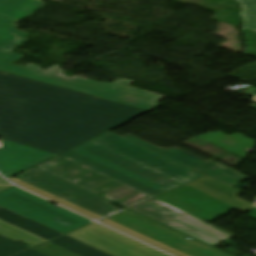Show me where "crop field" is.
Wrapping results in <instances>:
<instances>
[{
    "instance_id": "1",
    "label": "crop field",
    "mask_w": 256,
    "mask_h": 256,
    "mask_svg": "<svg viewBox=\"0 0 256 256\" xmlns=\"http://www.w3.org/2000/svg\"><path fill=\"white\" fill-rule=\"evenodd\" d=\"M149 111L0 72V133L53 154Z\"/></svg>"
},
{
    "instance_id": "22",
    "label": "crop field",
    "mask_w": 256,
    "mask_h": 256,
    "mask_svg": "<svg viewBox=\"0 0 256 256\" xmlns=\"http://www.w3.org/2000/svg\"><path fill=\"white\" fill-rule=\"evenodd\" d=\"M241 3L243 22L241 26L256 30V0H237Z\"/></svg>"
},
{
    "instance_id": "4",
    "label": "crop field",
    "mask_w": 256,
    "mask_h": 256,
    "mask_svg": "<svg viewBox=\"0 0 256 256\" xmlns=\"http://www.w3.org/2000/svg\"><path fill=\"white\" fill-rule=\"evenodd\" d=\"M35 167L95 194L104 193L110 196L114 201L125 203L128 208L151 198L141 192L60 156Z\"/></svg>"
},
{
    "instance_id": "11",
    "label": "crop field",
    "mask_w": 256,
    "mask_h": 256,
    "mask_svg": "<svg viewBox=\"0 0 256 256\" xmlns=\"http://www.w3.org/2000/svg\"><path fill=\"white\" fill-rule=\"evenodd\" d=\"M0 149V173L9 177L31 165H34L53 154L16 144L2 139Z\"/></svg>"
},
{
    "instance_id": "8",
    "label": "crop field",
    "mask_w": 256,
    "mask_h": 256,
    "mask_svg": "<svg viewBox=\"0 0 256 256\" xmlns=\"http://www.w3.org/2000/svg\"><path fill=\"white\" fill-rule=\"evenodd\" d=\"M16 177L28 184L48 191L59 197H61V195H70L71 198L69 199L64 197L61 198L80 205L104 217L119 211V209L110 205L109 201L35 167L16 175ZM29 178H31V180H29ZM36 182L39 183L37 184Z\"/></svg>"
},
{
    "instance_id": "7",
    "label": "crop field",
    "mask_w": 256,
    "mask_h": 256,
    "mask_svg": "<svg viewBox=\"0 0 256 256\" xmlns=\"http://www.w3.org/2000/svg\"><path fill=\"white\" fill-rule=\"evenodd\" d=\"M108 219L192 256H231L130 210Z\"/></svg>"
},
{
    "instance_id": "25",
    "label": "crop field",
    "mask_w": 256,
    "mask_h": 256,
    "mask_svg": "<svg viewBox=\"0 0 256 256\" xmlns=\"http://www.w3.org/2000/svg\"><path fill=\"white\" fill-rule=\"evenodd\" d=\"M15 256H46V255H44L42 253H39V252H37V251H35L33 249H30L28 251H25L23 253L15 255Z\"/></svg>"
},
{
    "instance_id": "21",
    "label": "crop field",
    "mask_w": 256,
    "mask_h": 256,
    "mask_svg": "<svg viewBox=\"0 0 256 256\" xmlns=\"http://www.w3.org/2000/svg\"><path fill=\"white\" fill-rule=\"evenodd\" d=\"M101 222L106 224V225H108V226H111V227H113V228H115V229H117V230H119L121 232H124V233H126L128 235H131L133 237H136V238H138V239H140V240H142L144 242H147V243H149V244H151V245H153V246H155L157 248H160V249L165 250V251H167L169 253H172L174 255H177V256H190V255H187V254H185L183 252H180V251H178L176 249H173V248H171L169 246H166V245L161 244V243H159L157 241H154V240H152V239H150L148 237H145L146 235L143 236V235H141V234H139L137 232H134V231H132V230H130L128 228H125V227H123V226H121V225H119L117 223H114V222L108 220V219H105V220H103Z\"/></svg>"
},
{
    "instance_id": "16",
    "label": "crop field",
    "mask_w": 256,
    "mask_h": 256,
    "mask_svg": "<svg viewBox=\"0 0 256 256\" xmlns=\"http://www.w3.org/2000/svg\"><path fill=\"white\" fill-rule=\"evenodd\" d=\"M39 0H0V14L16 19H24L41 8Z\"/></svg>"
},
{
    "instance_id": "13",
    "label": "crop field",
    "mask_w": 256,
    "mask_h": 256,
    "mask_svg": "<svg viewBox=\"0 0 256 256\" xmlns=\"http://www.w3.org/2000/svg\"><path fill=\"white\" fill-rule=\"evenodd\" d=\"M197 137L241 157H246L255 144V141L239 133L228 136L217 131L201 134Z\"/></svg>"
},
{
    "instance_id": "5",
    "label": "crop field",
    "mask_w": 256,
    "mask_h": 256,
    "mask_svg": "<svg viewBox=\"0 0 256 256\" xmlns=\"http://www.w3.org/2000/svg\"><path fill=\"white\" fill-rule=\"evenodd\" d=\"M0 206L37 221L60 233H67L92 221L65 208L14 187L0 194Z\"/></svg>"
},
{
    "instance_id": "9",
    "label": "crop field",
    "mask_w": 256,
    "mask_h": 256,
    "mask_svg": "<svg viewBox=\"0 0 256 256\" xmlns=\"http://www.w3.org/2000/svg\"><path fill=\"white\" fill-rule=\"evenodd\" d=\"M67 235L112 256H167L97 223Z\"/></svg>"
},
{
    "instance_id": "24",
    "label": "crop field",
    "mask_w": 256,
    "mask_h": 256,
    "mask_svg": "<svg viewBox=\"0 0 256 256\" xmlns=\"http://www.w3.org/2000/svg\"><path fill=\"white\" fill-rule=\"evenodd\" d=\"M39 252H42L48 256H78L74 253H71L61 247H58L50 242H47L43 245L33 248Z\"/></svg>"
},
{
    "instance_id": "18",
    "label": "crop field",
    "mask_w": 256,
    "mask_h": 256,
    "mask_svg": "<svg viewBox=\"0 0 256 256\" xmlns=\"http://www.w3.org/2000/svg\"><path fill=\"white\" fill-rule=\"evenodd\" d=\"M4 180V178H2L0 176V181ZM0 234L3 236H6L8 238H11L15 241H21L27 245L30 246V248L46 241L43 240L33 234H30L18 227H14L4 221L0 220Z\"/></svg>"
},
{
    "instance_id": "26",
    "label": "crop field",
    "mask_w": 256,
    "mask_h": 256,
    "mask_svg": "<svg viewBox=\"0 0 256 256\" xmlns=\"http://www.w3.org/2000/svg\"><path fill=\"white\" fill-rule=\"evenodd\" d=\"M13 186L12 184L8 183L6 180L0 183V191L7 189Z\"/></svg>"
},
{
    "instance_id": "20",
    "label": "crop field",
    "mask_w": 256,
    "mask_h": 256,
    "mask_svg": "<svg viewBox=\"0 0 256 256\" xmlns=\"http://www.w3.org/2000/svg\"><path fill=\"white\" fill-rule=\"evenodd\" d=\"M80 256H110L67 235L50 241Z\"/></svg>"
},
{
    "instance_id": "15",
    "label": "crop field",
    "mask_w": 256,
    "mask_h": 256,
    "mask_svg": "<svg viewBox=\"0 0 256 256\" xmlns=\"http://www.w3.org/2000/svg\"><path fill=\"white\" fill-rule=\"evenodd\" d=\"M124 138H126L130 141H133V142H135L139 145H142V146H144L148 149H151V150H153V151H155L159 154H162V155H164L168 158H171V159H173L177 162H180V163H182L186 166H189L193 169H195V168H197V167H199V166L208 162V161H206L202 158H199V157H197L193 154H190L186 151H183V150H181L177 147H174L172 149L164 151V150H162V149H160V148H158V147H156V146H154V145H152L148 142H145V141L131 135V134H128V135L124 136Z\"/></svg>"
},
{
    "instance_id": "12",
    "label": "crop field",
    "mask_w": 256,
    "mask_h": 256,
    "mask_svg": "<svg viewBox=\"0 0 256 256\" xmlns=\"http://www.w3.org/2000/svg\"><path fill=\"white\" fill-rule=\"evenodd\" d=\"M187 185L226 202L242 211H246L254 206L252 203L237 197L240 191L209 177H205Z\"/></svg>"
},
{
    "instance_id": "3",
    "label": "crop field",
    "mask_w": 256,
    "mask_h": 256,
    "mask_svg": "<svg viewBox=\"0 0 256 256\" xmlns=\"http://www.w3.org/2000/svg\"><path fill=\"white\" fill-rule=\"evenodd\" d=\"M16 19L0 15V69L55 84L58 86L78 90L90 95L110 99L127 105L135 106L145 110H153L160 105L156 101L164 96L144 92L128 87L134 81L117 80L112 84L96 83L81 77H64L58 66H54L46 71L39 70L32 64L24 68L10 65L18 59L19 55L11 53V50L25 41L28 33L15 30Z\"/></svg>"
},
{
    "instance_id": "10",
    "label": "crop field",
    "mask_w": 256,
    "mask_h": 256,
    "mask_svg": "<svg viewBox=\"0 0 256 256\" xmlns=\"http://www.w3.org/2000/svg\"><path fill=\"white\" fill-rule=\"evenodd\" d=\"M207 222L236 209L187 185L156 198Z\"/></svg>"
},
{
    "instance_id": "14",
    "label": "crop field",
    "mask_w": 256,
    "mask_h": 256,
    "mask_svg": "<svg viewBox=\"0 0 256 256\" xmlns=\"http://www.w3.org/2000/svg\"><path fill=\"white\" fill-rule=\"evenodd\" d=\"M0 219L18 226L30 233H33L43 239L49 240V239H53L56 238L62 234L53 231L37 222H34L30 219H27L23 216H20L16 213H13L3 207L0 208Z\"/></svg>"
},
{
    "instance_id": "23",
    "label": "crop field",
    "mask_w": 256,
    "mask_h": 256,
    "mask_svg": "<svg viewBox=\"0 0 256 256\" xmlns=\"http://www.w3.org/2000/svg\"><path fill=\"white\" fill-rule=\"evenodd\" d=\"M27 249L29 248L0 235V256H12Z\"/></svg>"
},
{
    "instance_id": "2",
    "label": "crop field",
    "mask_w": 256,
    "mask_h": 256,
    "mask_svg": "<svg viewBox=\"0 0 256 256\" xmlns=\"http://www.w3.org/2000/svg\"><path fill=\"white\" fill-rule=\"evenodd\" d=\"M112 151L131 157V160ZM60 156L151 197L203 177L180 163L110 132Z\"/></svg>"
},
{
    "instance_id": "28",
    "label": "crop field",
    "mask_w": 256,
    "mask_h": 256,
    "mask_svg": "<svg viewBox=\"0 0 256 256\" xmlns=\"http://www.w3.org/2000/svg\"><path fill=\"white\" fill-rule=\"evenodd\" d=\"M249 93L255 96L254 99H253V101L256 102V90L251 91V92H249Z\"/></svg>"
},
{
    "instance_id": "17",
    "label": "crop field",
    "mask_w": 256,
    "mask_h": 256,
    "mask_svg": "<svg viewBox=\"0 0 256 256\" xmlns=\"http://www.w3.org/2000/svg\"><path fill=\"white\" fill-rule=\"evenodd\" d=\"M197 171L209 175L230 186L248 178L247 176L224 167L214 161L200 167Z\"/></svg>"
},
{
    "instance_id": "27",
    "label": "crop field",
    "mask_w": 256,
    "mask_h": 256,
    "mask_svg": "<svg viewBox=\"0 0 256 256\" xmlns=\"http://www.w3.org/2000/svg\"><path fill=\"white\" fill-rule=\"evenodd\" d=\"M252 212L248 214V216L253 217L254 219H256V208L251 210Z\"/></svg>"
},
{
    "instance_id": "29",
    "label": "crop field",
    "mask_w": 256,
    "mask_h": 256,
    "mask_svg": "<svg viewBox=\"0 0 256 256\" xmlns=\"http://www.w3.org/2000/svg\"><path fill=\"white\" fill-rule=\"evenodd\" d=\"M252 108H255L256 109V104H252L250 105Z\"/></svg>"
},
{
    "instance_id": "19",
    "label": "crop field",
    "mask_w": 256,
    "mask_h": 256,
    "mask_svg": "<svg viewBox=\"0 0 256 256\" xmlns=\"http://www.w3.org/2000/svg\"><path fill=\"white\" fill-rule=\"evenodd\" d=\"M10 179L13 182H15L16 184H18L19 186H21V187H23V188H25V189H27L29 191H32V192H34V193H36V194H38L40 196H43V197H45V198H47L49 200H52V201H54V202H56V203H58L60 205H63V206H65V207H67L69 209H72V210H74V211H76L78 213H81V214H83L85 216H88V217H90V218H92L94 220H98L100 218H103V217H101V216H99V215H97V214H95V213H93V212H91L89 210H86V209H84V208H82L80 206H77V205H75L73 203H70V202H68V201H66L64 199H61V198H59V197H57L55 195L47 193V192H45L43 190H40L38 188H35V187L31 186V185H28V184H26V183H24V182H22V181H20V180H18L16 178H10Z\"/></svg>"
},
{
    "instance_id": "6",
    "label": "crop field",
    "mask_w": 256,
    "mask_h": 256,
    "mask_svg": "<svg viewBox=\"0 0 256 256\" xmlns=\"http://www.w3.org/2000/svg\"><path fill=\"white\" fill-rule=\"evenodd\" d=\"M184 234L199 239L209 245L231 238V235L213 227L209 223L152 199L130 209Z\"/></svg>"
}]
</instances>
